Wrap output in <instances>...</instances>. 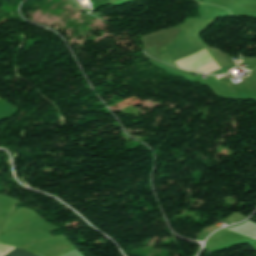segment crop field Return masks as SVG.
<instances>
[{
	"label": "crop field",
	"instance_id": "obj_1",
	"mask_svg": "<svg viewBox=\"0 0 256 256\" xmlns=\"http://www.w3.org/2000/svg\"><path fill=\"white\" fill-rule=\"evenodd\" d=\"M5 256H34V255L16 248Z\"/></svg>",
	"mask_w": 256,
	"mask_h": 256
},
{
	"label": "crop field",
	"instance_id": "obj_2",
	"mask_svg": "<svg viewBox=\"0 0 256 256\" xmlns=\"http://www.w3.org/2000/svg\"><path fill=\"white\" fill-rule=\"evenodd\" d=\"M220 67H217V68H215V69H212V70H210V71H208V72H205V74H207V73H209V72H212V71H214V70H217V69H219Z\"/></svg>",
	"mask_w": 256,
	"mask_h": 256
}]
</instances>
